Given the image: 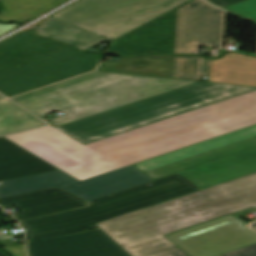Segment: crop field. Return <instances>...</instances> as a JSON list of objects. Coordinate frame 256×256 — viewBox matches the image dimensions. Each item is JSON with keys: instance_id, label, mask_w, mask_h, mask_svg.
Segmentation results:
<instances>
[{"instance_id": "crop-field-19", "label": "crop field", "mask_w": 256, "mask_h": 256, "mask_svg": "<svg viewBox=\"0 0 256 256\" xmlns=\"http://www.w3.org/2000/svg\"><path fill=\"white\" fill-rule=\"evenodd\" d=\"M35 31L39 35L64 41L81 50L106 40L53 18L43 22Z\"/></svg>"}, {"instance_id": "crop-field-11", "label": "crop field", "mask_w": 256, "mask_h": 256, "mask_svg": "<svg viewBox=\"0 0 256 256\" xmlns=\"http://www.w3.org/2000/svg\"><path fill=\"white\" fill-rule=\"evenodd\" d=\"M225 13L194 0L177 9L175 54H198L200 45L223 48Z\"/></svg>"}, {"instance_id": "crop-field-5", "label": "crop field", "mask_w": 256, "mask_h": 256, "mask_svg": "<svg viewBox=\"0 0 256 256\" xmlns=\"http://www.w3.org/2000/svg\"><path fill=\"white\" fill-rule=\"evenodd\" d=\"M254 89L197 82L57 128L85 144Z\"/></svg>"}, {"instance_id": "crop-field-18", "label": "crop field", "mask_w": 256, "mask_h": 256, "mask_svg": "<svg viewBox=\"0 0 256 256\" xmlns=\"http://www.w3.org/2000/svg\"><path fill=\"white\" fill-rule=\"evenodd\" d=\"M172 61L173 56L120 57L115 67L106 66L104 70L171 77Z\"/></svg>"}, {"instance_id": "crop-field-25", "label": "crop field", "mask_w": 256, "mask_h": 256, "mask_svg": "<svg viewBox=\"0 0 256 256\" xmlns=\"http://www.w3.org/2000/svg\"><path fill=\"white\" fill-rule=\"evenodd\" d=\"M221 256H256V244Z\"/></svg>"}, {"instance_id": "crop-field-21", "label": "crop field", "mask_w": 256, "mask_h": 256, "mask_svg": "<svg viewBox=\"0 0 256 256\" xmlns=\"http://www.w3.org/2000/svg\"><path fill=\"white\" fill-rule=\"evenodd\" d=\"M45 123L8 100L0 101V135Z\"/></svg>"}, {"instance_id": "crop-field-33", "label": "crop field", "mask_w": 256, "mask_h": 256, "mask_svg": "<svg viewBox=\"0 0 256 256\" xmlns=\"http://www.w3.org/2000/svg\"><path fill=\"white\" fill-rule=\"evenodd\" d=\"M1 99H4V97L0 95V100H1Z\"/></svg>"}, {"instance_id": "crop-field-16", "label": "crop field", "mask_w": 256, "mask_h": 256, "mask_svg": "<svg viewBox=\"0 0 256 256\" xmlns=\"http://www.w3.org/2000/svg\"><path fill=\"white\" fill-rule=\"evenodd\" d=\"M54 170L58 169L0 137V181Z\"/></svg>"}, {"instance_id": "crop-field-9", "label": "crop field", "mask_w": 256, "mask_h": 256, "mask_svg": "<svg viewBox=\"0 0 256 256\" xmlns=\"http://www.w3.org/2000/svg\"><path fill=\"white\" fill-rule=\"evenodd\" d=\"M256 147V125L133 164L151 179Z\"/></svg>"}, {"instance_id": "crop-field-15", "label": "crop field", "mask_w": 256, "mask_h": 256, "mask_svg": "<svg viewBox=\"0 0 256 256\" xmlns=\"http://www.w3.org/2000/svg\"><path fill=\"white\" fill-rule=\"evenodd\" d=\"M254 171H256V148L180 172V174L203 189Z\"/></svg>"}, {"instance_id": "crop-field-26", "label": "crop field", "mask_w": 256, "mask_h": 256, "mask_svg": "<svg viewBox=\"0 0 256 256\" xmlns=\"http://www.w3.org/2000/svg\"><path fill=\"white\" fill-rule=\"evenodd\" d=\"M150 256H188L186 255L182 250H180L178 247L165 250Z\"/></svg>"}, {"instance_id": "crop-field-8", "label": "crop field", "mask_w": 256, "mask_h": 256, "mask_svg": "<svg viewBox=\"0 0 256 256\" xmlns=\"http://www.w3.org/2000/svg\"><path fill=\"white\" fill-rule=\"evenodd\" d=\"M149 181L152 180L132 165L82 182L58 170L1 181L0 199L49 187H58L90 201Z\"/></svg>"}, {"instance_id": "crop-field-2", "label": "crop field", "mask_w": 256, "mask_h": 256, "mask_svg": "<svg viewBox=\"0 0 256 256\" xmlns=\"http://www.w3.org/2000/svg\"><path fill=\"white\" fill-rule=\"evenodd\" d=\"M256 207V172L98 223L132 256L175 247L163 235Z\"/></svg>"}, {"instance_id": "crop-field-17", "label": "crop field", "mask_w": 256, "mask_h": 256, "mask_svg": "<svg viewBox=\"0 0 256 256\" xmlns=\"http://www.w3.org/2000/svg\"><path fill=\"white\" fill-rule=\"evenodd\" d=\"M210 81L256 86V58L231 53L213 60Z\"/></svg>"}, {"instance_id": "crop-field-22", "label": "crop field", "mask_w": 256, "mask_h": 256, "mask_svg": "<svg viewBox=\"0 0 256 256\" xmlns=\"http://www.w3.org/2000/svg\"><path fill=\"white\" fill-rule=\"evenodd\" d=\"M209 60L199 56H174L172 77L198 80L208 75Z\"/></svg>"}, {"instance_id": "crop-field-30", "label": "crop field", "mask_w": 256, "mask_h": 256, "mask_svg": "<svg viewBox=\"0 0 256 256\" xmlns=\"http://www.w3.org/2000/svg\"><path fill=\"white\" fill-rule=\"evenodd\" d=\"M252 229L256 230V223L250 225Z\"/></svg>"}, {"instance_id": "crop-field-7", "label": "crop field", "mask_w": 256, "mask_h": 256, "mask_svg": "<svg viewBox=\"0 0 256 256\" xmlns=\"http://www.w3.org/2000/svg\"><path fill=\"white\" fill-rule=\"evenodd\" d=\"M189 0H78L50 16L110 41Z\"/></svg>"}, {"instance_id": "crop-field-14", "label": "crop field", "mask_w": 256, "mask_h": 256, "mask_svg": "<svg viewBox=\"0 0 256 256\" xmlns=\"http://www.w3.org/2000/svg\"><path fill=\"white\" fill-rule=\"evenodd\" d=\"M9 204L18 209L13 215L21 220L86 206L87 202L62 189L49 188L0 200V206Z\"/></svg>"}, {"instance_id": "crop-field-27", "label": "crop field", "mask_w": 256, "mask_h": 256, "mask_svg": "<svg viewBox=\"0 0 256 256\" xmlns=\"http://www.w3.org/2000/svg\"><path fill=\"white\" fill-rule=\"evenodd\" d=\"M7 251L14 254L15 256H26L24 244L16 245L11 247H5Z\"/></svg>"}, {"instance_id": "crop-field-3", "label": "crop field", "mask_w": 256, "mask_h": 256, "mask_svg": "<svg viewBox=\"0 0 256 256\" xmlns=\"http://www.w3.org/2000/svg\"><path fill=\"white\" fill-rule=\"evenodd\" d=\"M191 83L194 82L93 72L11 100L42 119L60 110L65 115L49 119L57 127Z\"/></svg>"}, {"instance_id": "crop-field-4", "label": "crop field", "mask_w": 256, "mask_h": 256, "mask_svg": "<svg viewBox=\"0 0 256 256\" xmlns=\"http://www.w3.org/2000/svg\"><path fill=\"white\" fill-rule=\"evenodd\" d=\"M99 58L31 30L20 33L0 42V92L9 97L92 71Z\"/></svg>"}, {"instance_id": "crop-field-13", "label": "crop field", "mask_w": 256, "mask_h": 256, "mask_svg": "<svg viewBox=\"0 0 256 256\" xmlns=\"http://www.w3.org/2000/svg\"><path fill=\"white\" fill-rule=\"evenodd\" d=\"M176 10L115 40L106 54H174Z\"/></svg>"}, {"instance_id": "crop-field-24", "label": "crop field", "mask_w": 256, "mask_h": 256, "mask_svg": "<svg viewBox=\"0 0 256 256\" xmlns=\"http://www.w3.org/2000/svg\"><path fill=\"white\" fill-rule=\"evenodd\" d=\"M178 176H181V175L179 173H177V174H174V175H171V176H168V177H164V178H161V179H158V180H155V181H152V182L140 185V186H136V187H133V188H130V189H127V190H124V191L106 196V197H102V198L90 201V202H88V204L91 205V204H95V203L105 201V200H108V199H111V198H115V197H118V196H121V195H125V194H128V193L146 188L148 186H151V185H154V184H157V183H160V182H163V181H166V180L178 177Z\"/></svg>"}, {"instance_id": "crop-field-31", "label": "crop field", "mask_w": 256, "mask_h": 256, "mask_svg": "<svg viewBox=\"0 0 256 256\" xmlns=\"http://www.w3.org/2000/svg\"><path fill=\"white\" fill-rule=\"evenodd\" d=\"M105 66L103 65H99L98 69L97 70H103Z\"/></svg>"}, {"instance_id": "crop-field-6", "label": "crop field", "mask_w": 256, "mask_h": 256, "mask_svg": "<svg viewBox=\"0 0 256 256\" xmlns=\"http://www.w3.org/2000/svg\"><path fill=\"white\" fill-rule=\"evenodd\" d=\"M200 190L183 176L87 208L21 221L27 242L98 229L96 223Z\"/></svg>"}, {"instance_id": "crop-field-12", "label": "crop field", "mask_w": 256, "mask_h": 256, "mask_svg": "<svg viewBox=\"0 0 256 256\" xmlns=\"http://www.w3.org/2000/svg\"><path fill=\"white\" fill-rule=\"evenodd\" d=\"M29 256H130L101 229L27 243Z\"/></svg>"}, {"instance_id": "crop-field-23", "label": "crop field", "mask_w": 256, "mask_h": 256, "mask_svg": "<svg viewBox=\"0 0 256 256\" xmlns=\"http://www.w3.org/2000/svg\"><path fill=\"white\" fill-rule=\"evenodd\" d=\"M222 9L256 23V0H246Z\"/></svg>"}, {"instance_id": "crop-field-1", "label": "crop field", "mask_w": 256, "mask_h": 256, "mask_svg": "<svg viewBox=\"0 0 256 256\" xmlns=\"http://www.w3.org/2000/svg\"><path fill=\"white\" fill-rule=\"evenodd\" d=\"M256 124V90L81 144L46 126L5 138L78 181Z\"/></svg>"}, {"instance_id": "crop-field-29", "label": "crop field", "mask_w": 256, "mask_h": 256, "mask_svg": "<svg viewBox=\"0 0 256 256\" xmlns=\"http://www.w3.org/2000/svg\"><path fill=\"white\" fill-rule=\"evenodd\" d=\"M18 24H7V25H2L0 24V34L16 27Z\"/></svg>"}, {"instance_id": "crop-field-32", "label": "crop field", "mask_w": 256, "mask_h": 256, "mask_svg": "<svg viewBox=\"0 0 256 256\" xmlns=\"http://www.w3.org/2000/svg\"><path fill=\"white\" fill-rule=\"evenodd\" d=\"M0 256H7L3 252L0 251Z\"/></svg>"}, {"instance_id": "crop-field-10", "label": "crop field", "mask_w": 256, "mask_h": 256, "mask_svg": "<svg viewBox=\"0 0 256 256\" xmlns=\"http://www.w3.org/2000/svg\"><path fill=\"white\" fill-rule=\"evenodd\" d=\"M230 214L168 235L189 256H218L256 243V234Z\"/></svg>"}, {"instance_id": "crop-field-28", "label": "crop field", "mask_w": 256, "mask_h": 256, "mask_svg": "<svg viewBox=\"0 0 256 256\" xmlns=\"http://www.w3.org/2000/svg\"><path fill=\"white\" fill-rule=\"evenodd\" d=\"M209 1L210 3L222 8V7H225L227 5H230V4H233V3H236V2H239V1H243V0H207Z\"/></svg>"}, {"instance_id": "crop-field-20", "label": "crop field", "mask_w": 256, "mask_h": 256, "mask_svg": "<svg viewBox=\"0 0 256 256\" xmlns=\"http://www.w3.org/2000/svg\"><path fill=\"white\" fill-rule=\"evenodd\" d=\"M64 1L65 0H1L0 3L6 12L0 14V22H22L38 16V13H44Z\"/></svg>"}]
</instances>
